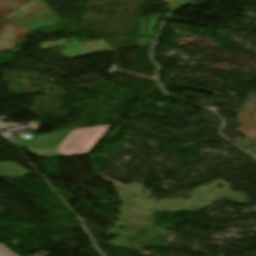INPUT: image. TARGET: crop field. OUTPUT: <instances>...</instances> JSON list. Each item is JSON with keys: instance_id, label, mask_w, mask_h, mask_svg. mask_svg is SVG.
Segmentation results:
<instances>
[{"instance_id": "1", "label": "crop field", "mask_w": 256, "mask_h": 256, "mask_svg": "<svg viewBox=\"0 0 256 256\" xmlns=\"http://www.w3.org/2000/svg\"><path fill=\"white\" fill-rule=\"evenodd\" d=\"M30 0H0V17L3 15L9 13L10 11L18 8L19 6L25 4ZM41 2L40 4L32 7L31 9L27 10L26 12L22 13L21 15L11 19L12 17L18 15L19 13L23 12L24 10L30 8L31 6ZM44 6L43 8L29 14L28 16L14 22L15 20L19 19L20 17L24 16L25 14L39 8L40 6ZM47 8L46 10L28 18L29 16ZM50 10L49 12L43 14L42 16L38 17L37 19L31 21L30 23L24 25L31 19L39 16L40 14ZM28 18V19H26ZM26 19V20H24ZM2 20L8 21L10 23L19 25L25 29L16 27L14 25L8 24ZM0 20V51H5L11 49L13 46H15L25 35L29 33L28 30L33 31L57 24H61L62 22L60 19L52 12V10L43 2V0H33L30 3L22 6L21 8L15 10L14 12L4 16ZM24 20V21H22ZM22 21V22H20Z\"/></svg>"}, {"instance_id": "2", "label": "crop field", "mask_w": 256, "mask_h": 256, "mask_svg": "<svg viewBox=\"0 0 256 256\" xmlns=\"http://www.w3.org/2000/svg\"><path fill=\"white\" fill-rule=\"evenodd\" d=\"M111 125L59 131L53 135L40 136L26 148L35 155L63 153L64 156L88 154Z\"/></svg>"}, {"instance_id": "3", "label": "crop field", "mask_w": 256, "mask_h": 256, "mask_svg": "<svg viewBox=\"0 0 256 256\" xmlns=\"http://www.w3.org/2000/svg\"><path fill=\"white\" fill-rule=\"evenodd\" d=\"M29 173L13 162H0V177H24Z\"/></svg>"}, {"instance_id": "4", "label": "crop field", "mask_w": 256, "mask_h": 256, "mask_svg": "<svg viewBox=\"0 0 256 256\" xmlns=\"http://www.w3.org/2000/svg\"><path fill=\"white\" fill-rule=\"evenodd\" d=\"M0 256H14V255H12L4 247L0 246Z\"/></svg>"}]
</instances>
